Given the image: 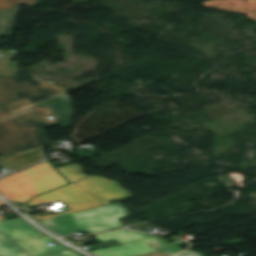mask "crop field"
Returning <instances> with one entry per match:
<instances>
[{
    "label": "crop field",
    "instance_id": "crop-field-1",
    "mask_svg": "<svg viewBox=\"0 0 256 256\" xmlns=\"http://www.w3.org/2000/svg\"><path fill=\"white\" fill-rule=\"evenodd\" d=\"M71 183L82 178L88 177L81 171V167L76 163L57 168ZM122 198L123 200L131 198L128 191L124 190L117 182L105 178L93 176L65 187L56 189L44 195L35 197L27 206L32 207L42 203L60 200L66 203L70 209L58 213L34 218L41 220L62 214L91 209L108 205L107 200Z\"/></svg>",
    "mask_w": 256,
    "mask_h": 256
},
{
    "label": "crop field",
    "instance_id": "crop-field-2",
    "mask_svg": "<svg viewBox=\"0 0 256 256\" xmlns=\"http://www.w3.org/2000/svg\"><path fill=\"white\" fill-rule=\"evenodd\" d=\"M49 114L55 116L46 104L41 103L0 121V155L49 144L47 135L40 130L57 124L55 120L47 119Z\"/></svg>",
    "mask_w": 256,
    "mask_h": 256
},
{
    "label": "crop field",
    "instance_id": "crop-field-3",
    "mask_svg": "<svg viewBox=\"0 0 256 256\" xmlns=\"http://www.w3.org/2000/svg\"><path fill=\"white\" fill-rule=\"evenodd\" d=\"M66 91L57 84L47 85L20 69L17 78L0 76V118Z\"/></svg>",
    "mask_w": 256,
    "mask_h": 256
},
{
    "label": "crop field",
    "instance_id": "crop-field-4",
    "mask_svg": "<svg viewBox=\"0 0 256 256\" xmlns=\"http://www.w3.org/2000/svg\"><path fill=\"white\" fill-rule=\"evenodd\" d=\"M20 218L0 222V256H44L70 249L59 243L49 247L46 243L55 240Z\"/></svg>",
    "mask_w": 256,
    "mask_h": 256
},
{
    "label": "crop field",
    "instance_id": "crop-field-5",
    "mask_svg": "<svg viewBox=\"0 0 256 256\" xmlns=\"http://www.w3.org/2000/svg\"><path fill=\"white\" fill-rule=\"evenodd\" d=\"M65 184L68 182L46 161L0 180V191L12 200L26 203L38 194Z\"/></svg>",
    "mask_w": 256,
    "mask_h": 256
},
{
    "label": "crop field",
    "instance_id": "crop-field-6",
    "mask_svg": "<svg viewBox=\"0 0 256 256\" xmlns=\"http://www.w3.org/2000/svg\"><path fill=\"white\" fill-rule=\"evenodd\" d=\"M124 216H128L126 209L117 203L49 218L41 220V222L64 236L76 231L101 232L122 227L123 225L118 218Z\"/></svg>",
    "mask_w": 256,
    "mask_h": 256
},
{
    "label": "crop field",
    "instance_id": "crop-field-7",
    "mask_svg": "<svg viewBox=\"0 0 256 256\" xmlns=\"http://www.w3.org/2000/svg\"><path fill=\"white\" fill-rule=\"evenodd\" d=\"M157 239H160V237L151 236L134 242L126 243L121 246L105 248L92 252L101 256H136L147 254L158 251L147 245L148 243Z\"/></svg>",
    "mask_w": 256,
    "mask_h": 256
},
{
    "label": "crop field",
    "instance_id": "crop-field-8",
    "mask_svg": "<svg viewBox=\"0 0 256 256\" xmlns=\"http://www.w3.org/2000/svg\"><path fill=\"white\" fill-rule=\"evenodd\" d=\"M43 158L39 147L0 157V162L11 169H17Z\"/></svg>",
    "mask_w": 256,
    "mask_h": 256
},
{
    "label": "crop field",
    "instance_id": "crop-field-9",
    "mask_svg": "<svg viewBox=\"0 0 256 256\" xmlns=\"http://www.w3.org/2000/svg\"><path fill=\"white\" fill-rule=\"evenodd\" d=\"M47 103L60 118L63 127L71 125L73 112L70 97L66 93L47 101Z\"/></svg>",
    "mask_w": 256,
    "mask_h": 256
},
{
    "label": "crop field",
    "instance_id": "crop-field-10",
    "mask_svg": "<svg viewBox=\"0 0 256 256\" xmlns=\"http://www.w3.org/2000/svg\"><path fill=\"white\" fill-rule=\"evenodd\" d=\"M248 0H214L202 5L246 15Z\"/></svg>",
    "mask_w": 256,
    "mask_h": 256
},
{
    "label": "crop field",
    "instance_id": "crop-field-11",
    "mask_svg": "<svg viewBox=\"0 0 256 256\" xmlns=\"http://www.w3.org/2000/svg\"><path fill=\"white\" fill-rule=\"evenodd\" d=\"M147 236H151V235L117 230V231L97 235L93 239L97 242H103V241L115 239L123 244L133 240L141 239Z\"/></svg>",
    "mask_w": 256,
    "mask_h": 256
},
{
    "label": "crop field",
    "instance_id": "crop-field-12",
    "mask_svg": "<svg viewBox=\"0 0 256 256\" xmlns=\"http://www.w3.org/2000/svg\"><path fill=\"white\" fill-rule=\"evenodd\" d=\"M18 52L6 50L0 56V75H7L16 77L19 70V63L15 61H9L14 56H16Z\"/></svg>",
    "mask_w": 256,
    "mask_h": 256
},
{
    "label": "crop field",
    "instance_id": "crop-field-13",
    "mask_svg": "<svg viewBox=\"0 0 256 256\" xmlns=\"http://www.w3.org/2000/svg\"><path fill=\"white\" fill-rule=\"evenodd\" d=\"M168 241L169 240L161 239V240L152 242L149 245L159 249L161 252H163L164 254H166L168 256H173V255L183 251V250L177 248L178 246H180L182 244H179L177 242L170 244V243H167Z\"/></svg>",
    "mask_w": 256,
    "mask_h": 256
},
{
    "label": "crop field",
    "instance_id": "crop-field-14",
    "mask_svg": "<svg viewBox=\"0 0 256 256\" xmlns=\"http://www.w3.org/2000/svg\"><path fill=\"white\" fill-rule=\"evenodd\" d=\"M16 9L0 10V35H8ZM6 21L7 25H4ZM4 26H7L4 28ZM11 31V30H10Z\"/></svg>",
    "mask_w": 256,
    "mask_h": 256
},
{
    "label": "crop field",
    "instance_id": "crop-field-15",
    "mask_svg": "<svg viewBox=\"0 0 256 256\" xmlns=\"http://www.w3.org/2000/svg\"><path fill=\"white\" fill-rule=\"evenodd\" d=\"M40 0H0V9L18 8L19 5L26 4L27 7H35ZM17 4V6H13Z\"/></svg>",
    "mask_w": 256,
    "mask_h": 256
},
{
    "label": "crop field",
    "instance_id": "crop-field-16",
    "mask_svg": "<svg viewBox=\"0 0 256 256\" xmlns=\"http://www.w3.org/2000/svg\"><path fill=\"white\" fill-rule=\"evenodd\" d=\"M247 16L256 20V0H249Z\"/></svg>",
    "mask_w": 256,
    "mask_h": 256
},
{
    "label": "crop field",
    "instance_id": "crop-field-17",
    "mask_svg": "<svg viewBox=\"0 0 256 256\" xmlns=\"http://www.w3.org/2000/svg\"><path fill=\"white\" fill-rule=\"evenodd\" d=\"M49 256H83V254L78 253L76 251L69 250V251H65V252H61V253H57Z\"/></svg>",
    "mask_w": 256,
    "mask_h": 256
},
{
    "label": "crop field",
    "instance_id": "crop-field-18",
    "mask_svg": "<svg viewBox=\"0 0 256 256\" xmlns=\"http://www.w3.org/2000/svg\"><path fill=\"white\" fill-rule=\"evenodd\" d=\"M178 256H205V255H202V254H199V253H196V252H193V251H186Z\"/></svg>",
    "mask_w": 256,
    "mask_h": 256
},
{
    "label": "crop field",
    "instance_id": "crop-field-19",
    "mask_svg": "<svg viewBox=\"0 0 256 256\" xmlns=\"http://www.w3.org/2000/svg\"><path fill=\"white\" fill-rule=\"evenodd\" d=\"M141 256H166V255H164L163 253H161L159 251V252H156V253H151V254L141 255Z\"/></svg>",
    "mask_w": 256,
    "mask_h": 256
},
{
    "label": "crop field",
    "instance_id": "crop-field-20",
    "mask_svg": "<svg viewBox=\"0 0 256 256\" xmlns=\"http://www.w3.org/2000/svg\"><path fill=\"white\" fill-rule=\"evenodd\" d=\"M5 218H3L1 215H0V220H4Z\"/></svg>",
    "mask_w": 256,
    "mask_h": 256
},
{
    "label": "crop field",
    "instance_id": "crop-field-21",
    "mask_svg": "<svg viewBox=\"0 0 256 256\" xmlns=\"http://www.w3.org/2000/svg\"><path fill=\"white\" fill-rule=\"evenodd\" d=\"M0 206H4V204L0 201Z\"/></svg>",
    "mask_w": 256,
    "mask_h": 256
},
{
    "label": "crop field",
    "instance_id": "crop-field-22",
    "mask_svg": "<svg viewBox=\"0 0 256 256\" xmlns=\"http://www.w3.org/2000/svg\"><path fill=\"white\" fill-rule=\"evenodd\" d=\"M2 52V50H0V53Z\"/></svg>",
    "mask_w": 256,
    "mask_h": 256
}]
</instances>
